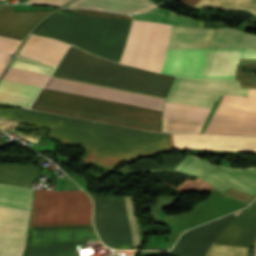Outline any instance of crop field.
I'll return each instance as SVG.
<instances>
[{
	"mask_svg": "<svg viewBox=\"0 0 256 256\" xmlns=\"http://www.w3.org/2000/svg\"><path fill=\"white\" fill-rule=\"evenodd\" d=\"M208 6L224 10L243 9L256 16V0H199L195 5Z\"/></svg>",
	"mask_w": 256,
	"mask_h": 256,
	"instance_id": "92a150f3",
	"label": "crop field"
},
{
	"mask_svg": "<svg viewBox=\"0 0 256 256\" xmlns=\"http://www.w3.org/2000/svg\"><path fill=\"white\" fill-rule=\"evenodd\" d=\"M30 108L151 131H160L161 112L42 89Z\"/></svg>",
	"mask_w": 256,
	"mask_h": 256,
	"instance_id": "f4fd0767",
	"label": "crop field"
},
{
	"mask_svg": "<svg viewBox=\"0 0 256 256\" xmlns=\"http://www.w3.org/2000/svg\"><path fill=\"white\" fill-rule=\"evenodd\" d=\"M73 13L61 9L45 20L33 33L65 41L118 62L131 20L83 17Z\"/></svg>",
	"mask_w": 256,
	"mask_h": 256,
	"instance_id": "412701ff",
	"label": "crop field"
},
{
	"mask_svg": "<svg viewBox=\"0 0 256 256\" xmlns=\"http://www.w3.org/2000/svg\"><path fill=\"white\" fill-rule=\"evenodd\" d=\"M0 115L52 127L48 135L67 145H83L87 153L82 161L89 165L95 162L111 170L119 163L139 155L173 150L169 134L126 129L21 109L0 108Z\"/></svg>",
	"mask_w": 256,
	"mask_h": 256,
	"instance_id": "8a807250",
	"label": "crop field"
},
{
	"mask_svg": "<svg viewBox=\"0 0 256 256\" xmlns=\"http://www.w3.org/2000/svg\"><path fill=\"white\" fill-rule=\"evenodd\" d=\"M256 241V199L215 240V244L254 246ZM212 244L205 256H245L247 247Z\"/></svg>",
	"mask_w": 256,
	"mask_h": 256,
	"instance_id": "3316defc",
	"label": "crop field"
},
{
	"mask_svg": "<svg viewBox=\"0 0 256 256\" xmlns=\"http://www.w3.org/2000/svg\"><path fill=\"white\" fill-rule=\"evenodd\" d=\"M190 156L175 170L201 176L222 193L231 187L256 196V168L230 169Z\"/></svg>",
	"mask_w": 256,
	"mask_h": 256,
	"instance_id": "5a996713",
	"label": "crop field"
},
{
	"mask_svg": "<svg viewBox=\"0 0 256 256\" xmlns=\"http://www.w3.org/2000/svg\"><path fill=\"white\" fill-rule=\"evenodd\" d=\"M91 223V200L83 191L34 190L29 226Z\"/></svg>",
	"mask_w": 256,
	"mask_h": 256,
	"instance_id": "e52e79f7",
	"label": "crop field"
},
{
	"mask_svg": "<svg viewBox=\"0 0 256 256\" xmlns=\"http://www.w3.org/2000/svg\"><path fill=\"white\" fill-rule=\"evenodd\" d=\"M75 12H78L84 16H107V17H119V18H128L131 19L128 15H122V14H115V13H109V12H103V11H97V10H87V9H70Z\"/></svg>",
	"mask_w": 256,
	"mask_h": 256,
	"instance_id": "4177f3b9",
	"label": "crop field"
},
{
	"mask_svg": "<svg viewBox=\"0 0 256 256\" xmlns=\"http://www.w3.org/2000/svg\"><path fill=\"white\" fill-rule=\"evenodd\" d=\"M51 12H14L12 5H0V35L22 40L38 21Z\"/></svg>",
	"mask_w": 256,
	"mask_h": 256,
	"instance_id": "22f410ed",
	"label": "crop field"
},
{
	"mask_svg": "<svg viewBox=\"0 0 256 256\" xmlns=\"http://www.w3.org/2000/svg\"><path fill=\"white\" fill-rule=\"evenodd\" d=\"M134 19L158 21L173 25L186 26V27H199L204 28L205 23L194 20L187 16L173 14L169 11L155 8L149 12L137 15H131Z\"/></svg>",
	"mask_w": 256,
	"mask_h": 256,
	"instance_id": "733c2abd",
	"label": "crop field"
},
{
	"mask_svg": "<svg viewBox=\"0 0 256 256\" xmlns=\"http://www.w3.org/2000/svg\"><path fill=\"white\" fill-rule=\"evenodd\" d=\"M68 46L62 41L31 34L19 53L57 64Z\"/></svg>",
	"mask_w": 256,
	"mask_h": 256,
	"instance_id": "cbeb9de0",
	"label": "crop field"
},
{
	"mask_svg": "<svg viewBox=\"0 0 256 256\" xmlns=\"http://www.w3.org/2000/svg\"><path fill=\"white\" fill-rule=\"evenodd\" d=\"M32 189L0 184V205L30 209Z\"/></svg>",
	"mask_w": 256,
	"mask_h": 256,
	"instance_id": "4a817a6b",
	"label": "crop field"
},
{
	"mask_svg": "<svg viewBox=\"0 0 256 256\" xmlns=\"http://www.w3.org/2000/svg\"><path fill=\"white\" fill-rule=\"evenodd\" d=\"M125 201H126L130 247H136L139 241V236L137 234V230L134 222L131 197H125Z\"/></svg>",
	"mask_w": 256,
	"mask_h": 256,
	"instance_id": "a9b5d70f",
	"label": "crop field"
},
{
	"mask_svg": "<svg viewBox=\"0 0 256 256\" xmlns=\"http://www.w3.org/2000/svg\"><path fill=\"white\" fill-rule=\"evenodd\" d=\"M69 0H28L25 3H45V4H54L62 5L67 3Z\"/></svg>",
	"mask_w": 256,
	"mask_h": 256,
	"instance_id": "ae1a2a85",
	"label": "crop field"
},
{
	"mask_svg": "<svg viewBox=\"0 0 256 256\" xmlns=\"http://www.w3.org/2000/svg\"><path fill=\"white\" fill-rule=\"evenodd\" d=\"M170 28L167 24L142 21L128 65L160 72ZM167 48L256 49V36L230 28L172 26Z\"/></svg>",
	"mask_w": 256,
	"mask_h": 256,
	"instance_id": "ac0d7876",
	"label": "crop field"
},
{
	"mask_svg": "<svg viewBox=\"0 0 256 256\" xmlns=\"http://www.w3.org/2000/svg\"><path fill=\"white\" fill-rule=\"evenodd\" d=\"M20 40L5 38L0 36V50L13 54L20 44Z\"/></svg>",
	"mask_w": 256,
	"mask_h": 256,
	"instance_id": "730fd06b",
	"label": "crop field"
},
{
	"mask_svg": "<svg viewBox=\"0 0 256 256\" xmlns=\"http://www.w3.org/2000/svg\"><path fill=\"white\" fill-rule=\"evenodd\" d=\"M10 59V56L3 53V52H0V74L1 72L3 71V69L5 68L6 64L8 63Z\"/></svg>",
	"mask_w": 256,
	"mask_h": 256,
	"instance_id": "d3111659",
	"label": "crop field"
},
{
	"mask_svg": "<svg viewBox=\"0 0 256 256\" xmlns=\"http://www.w3.org/2000/svg\"><path fill=\"white\" fill-rule=\"evenodd\" d=\"M11 67L28 70V71L39 72V73H45V74H49V75L54 68L51 66H47V65L35 62V61L21 59V58L15 59L11 65Z\"/></svg>",
	"mask_w": 256,
	"mask_h": 256,
	"instance_id": "00972430",
	"label": "crop field"
},
{
	"mask_svg": "<svg viewBox=\"0 0 256 256\" xmlns=\"http://www.w3.org/2000/svg\"><path fill=\"white\" fill-rule=\"evenodd\" d=\"M179 1H181V2L184 3L185 5H187V6L191 7V8H193L194 5L197 3L198 0H179ZM184 4H183V5H184Z\"/></svg>",
	"mask_w": 256,
	"mask_h": 256,
	"instance_id": "750c4746",
	"label": "crop field"
},
{
	"mask_svg": "<svg viewBox=\"0 0 256 256\" xmlns=\"http://www.w3.org/2000/svg\"><path fill=\"white\" fill-rule=\"evenodd\" d=\"M45 89L57 90L161 111L162 98L50 77Z\"/></svg>",
	"mask_w": 256,
	"mask_h": 256,
	"instance_id": "28ad6ade",
	"label": "crop field"
},
{
	"mask_svg": "<svg viewBox=\"0 0 256 256\" xmlns=\"http://www.w3.org/2000/svg\"><path fill=\"white\" fill-rule=\"evenodd\" d=\"M53 75L138 93L142 91L144 94L163 98L175 78L122 66L87 54L73 46H70Z\"/></svg>",
	"mask_w": 256,
	"mask_h": 256,
	"instance_id": "34b2d1b8",
	"label": "crop field"
},
{
	"mask_svg": "<svg viewBox=\"0 0 256 256\" xmlns=\"http://www.w3.org/2000/svg\"><path fill=\"white\" fill-rule=\"evenodd\" d=\"M39 90V87L0 80V102L29 107Z\"/></svg>",
	"mask_w": 256,
	"mask_h": 256,
	"instance_id": "d9b57169",
	"label": "crop field"
},
{
	"mask_svg": "<svg viewBox=\"0 0 256 256\" xmlns=\"http://www.w3.org/2000/svg\"><path fill=\"white\" fill-rule=\"evenodd\" d=\"M48 75L9 68L2 79L42 87Z\"/></svg>",
	"mask_w": 256,
	"mask_h": 256,
	"instance_id": "dafd665d",
	"label": "crop field"
},
{
	"mask_svg": "<svg viewBox=\"0 0 256 256\" xmlns=\"http://www.w3.org/2000/svg\"><path fill=\"white\" fill-rule=\"evenodd\" d=\"M223 194L233 197V198H236L238 200L247 202V203H250L255 198V196H252V195H249V194H246V193H243V192L231 189V188H229Z\"/></svg>",
	"mask_w": 256,
	"mask_h": 256,
	"instance_id": "eef30255",
	"label": "crop field"
},
{
	"mask_svg": "<svg viewBox=\"0 0 256 256\" xmlns=\"http://www.w3.org/2000/svg\"><path fill=\"white\" fill-rule=\"evenodd\" d=\"M220 94L248 97V89L238 80H193L177 77L166 99L168 102L211 108Z\"/></svg>",
	"mask_w": 256,
	"mask_h": 256,
	"instance_id": "d8731c3e",
	"label": "crop field"
},
{
	"mask_svg": "<svg viewBox=\"0 0 256 256\" xmlns=\"http://www.w3.org/2000/svg\"><path fill=\"white\" fill-rule=\"evenodd\" d=\"M30 210L0 206V256H22Z\"/></svg>",
	"mask_w": 256,
	"mask_h": 256,
	"instance_id": "d1516ede",
	"label": "crop field"
},
{
	"mask_svg": "<svg viewBox=\"0 0 256 256\" xmlns=\"http://www.w3.org/2000/svg\"><path fill=\"white\" fill-rule=\"evenodd\" d=\"M156 6L150 0H75L68 7L98 8L122 13H137Z\"/></svg>",
	"mask_w": 256,
	"mask_h": 256,
	"instance_id": "5142ce71",
	"label": "crop field"
},
{
	"mask_svg": "<svg viewBox=\"0 0 256 256\" xmlns=\"http://www.w3.org/2000/svg\"><path fill=\"white\" fill-rule=\"evenodd\" d=\"M1 132V131H0ZM6 144L3 140L0 139V146Z\"/></svg>",
	"mask_w": 256,
	"mask_h": 256,
	"instance_id": "bd1437ed",
	"label": "crop field"
},
{
	"mask_svg": "<svg viewBox=\"0 0 256 256\" xmlns=\"http://www.w3.org/2000/svg\"><path fill=\"white\" fill-rule=\"evenodd\" d=\"M239 58H256V50L167 49L161 72L192 78H232Z\"/></svg>",
	"mask_w": 256,
	"mask_h": 256,
	"instance_id": "dd49c442",
	"label": "crop field"
},
{
	"mask_svg": "<svg viewBox=\"0 0 256 256\" xmlns=\"http://www.w3.org/2000/svg\"><path fill=\"white\" fill-rule=\"evenodd\" d=\"M32 171L33 165L0 164V183L28 187Z\"/></svg>",
	"mask_w": 256,
	"mask_h": 256,
	"instance_id": "bc2a9ffb",
	"label": "crop field"
},
{
	"mask_svg": "<svg viewBox=\"0 0 256 256\" xmlns=\"http://www.w3.org/2000/svg\"><path fill=\"white\" fill-rule=\"evenodd\" d=\"M210 109L165 102L163 116L205 120Z\"/></svg>",
	"mask_w": 256,
	"mask_h": 256,
	"instance_id": "214f88e0",
	"label": "crop field"
}]
</instances>
